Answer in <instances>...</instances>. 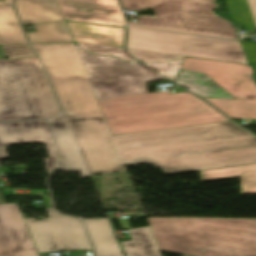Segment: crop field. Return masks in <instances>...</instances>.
Wrapping results in <instances>:
<instances>
[{"label": "crop field", "mask_w": 256, "mask_h": 256, "mask_svg": "<svg viewBox=\"0 0 256 256\" xmlns=\"http://www.w3.org/2000/svg\"><path fill=\"white\" fill-rule=\"evenodd\" d=\"M93 174L150 163L170 174L256 163V137L231 121L112 136L74 43L33 45Z\"/></svg>", "instance_id": "obj_1"}, {"label": "crop field", "mask_w": 256, "mask_h": 256, "mask_svg": "<svg viewBox=\"0 0 256 256\" xmlns=\"http://www.w3.org/2000/svg\"><path fill=\"white\" fill-rule=\"evenodd\" d=\"M60 111L38 57L0 60V121L46 119ZM35 142H45L52 174L59 158L47 121L0 123V158L8 157L3 146Z\"/></svg>", "instance_id": "obj_2"}, {"label": "crop field", "mask_w": 256, "mask_h": 256, "mask_svg": "<svg viewBox=\"0 0 256 256\" xmlns=\"http://www.w3.org/2000/svg\"><path fill=\"white\" fill-rule=\"evenodd\" d=\"M98 101L113 135L228 120L189 92L165 91Z\"/></svg>", "instance_id": "obj_3"}, {"label": "crop field", "mask_w": 256, "mask_h": 256, "mask_svg": "<svg viewBox=\"0 0 256 256\" xmlns=\"http://www.w3.org/2000/svg\"><path fill=\"white\" fill-rule=\"evenodd\" d=\"M161 251L256 256V219L148 218Z\"/></svg>", "instance_id": "obj_4"}, {"label": "crop field", "mask_w": 256, "mask_h": 256, "mask_svg": "<svg viewBox=\"0 0 256 256\" xmlns=\"http://www.w3.org/2000/svg\"><path fill=\"white\" fill-rule=\"evenodd\" d=\"M125 8H153L157 29L238 39L232 22L218 17L204 0H121Z\"/></svg>", "instance_id": "obj_5"}, {"label": "crop field", "mask_w": 256, "mask_h": 256, "mask_svg": "<svg viewBox=\"0 0 256 256\" xmlns=\"http://www.w3.org/2000/svg\"><path fill=\"white\" fill-rule=\"evenodd\" d=\"M128 48L248 64L239 41L233 42L158 30L129 27Z\"/></svg>", "instance_id": "obj_6"}, {"label": "crop field", "mask_w": 256, "mask_h": 256, "mask_svg": "<svg viewBox=\"0 0 256 256\" xmlns=\"http://www.w3.org/2000/svg\"><path fill=\"white\" fill-rule=\"evenodd\" d=\"M80 56L98 99L147 93L144 83L162 78L140 64Z\"/></svg>", "instance_id": "obj_7"}, {"label": "crop field", "mask_w": 256, "mask_h": 256, "mask_svg": "<svg viewBox=\"0 0 256 256\" xmlns=\"http://www.w3.org/2000/svg\"><path fill=\"white\" fill-rule=\"evenodd\" d=\"M50 219L36 221L24 216L39 252L92 249L78 218L47 208Z\"/></svg>", "instance_id": "obj_8"}, {"label": "crop field", "mask_w": 256, "mask_h": 256, "mask_svg": "<svg viewBox=\"0 0 256 256\" xmlns=\"http://www.w3.org/2000/svg\"><path fill=\"white\" fill-rule=\"evenodd\" d=\"M181 68L207 75L235 99L256 100L254 72L250 66L185 57Z\"/></svg>", "instance_id": "obj_9"}, {"label": "crop field", "mask_w": 256, "mask_h": 256, "mask_svg": "<svg viewBox=\"0 0 256 256\" xmlns=\"http://www.w3.org/2000/svg\"><path fill=\"white\" fill-rule=\"evenodd\" d=\"M0 256H38L17 203L0 204Z\"/></svg>", "instance_id": "obj_10"}, {"label": "crop field", "mask_w": 256, "mask_h": 256, "mask_svg": "<svg viewBox=\"0 0 256 256\" xmlns=\"http://www.w3.org/2000/svg\"><path fill=\"white\" fill-rule=\"evenodd\" d=\"M66 20L125 27L117 0H58Z\"/></svg>", "instance_id": "obj_11"}, {"label": "crop field", "mask_w": 256, "mask_h": 256, "mask_svg": "<svg viewBox=\"0 0 256 256\" xmlns=\"http://www.w3.org/2000/svg\"><path fill=\"white\" fill-rule=\"evenodd\" d=\"M181 64L182 63H164L147 65L202 97L234 99L207 76L180 69Z\"/></svg>", "instance_id": "obj_12"}, {"label": "crop field", "mask_w": 256, "mask_h": 256, "mask_svg": "<svg viewBox=\"0 0 256 256\" xmlns=\"http://www.w3.org/2000/svg\"><path fill=\"white\" fill-rule=\"evenodd\" d=\"M62 155L61 171L80 172L81 178L90 177L89 170L73 136L65 115L52 121Z\"/></svg>", "instance_id": "obj_13"}, {"label": "crop field", "mask_w": 256, "mask_h": 256, "mask_svg": "<svg viewBox=\"0 0 256 256\" xmlns=\"http://www.w3.org/2000/svg\"><path fill=\"white\" fill-rule=\"evenodd\" d=\"M75 41L124 48L125 29L66 22Z\"/></svg>", "instance_id": "obj_14"}, {"label": "crop field", "mask_w": 256, "mask_h": 256, "mask_svg": "<svg viewBox=\"0 0 256 256\" xmlns=\"http://www.w3.org/2000/svg\"><path fill=\"white\" fill-rule=\"evenodd\" d=\"M22 23H42L65 20L57 0H16Z\"/></svg>", "instance_id": "obj_15"}, {"label": "crop field", "mask_w": 256, "mask_h": 256, "mask_svg": "<svg viewBox=\"0 0 256 256\" xmlns=\"http://www.w3.org/2000/svg\"><path fill=\"white\" fill-rule=\"evenodd\" d=\"M97 256H124L107 218L85 219Z\"/></svg>", "instance_id": "obj_16"}, {"label": "crop field", "mask_w": 256, "mask_h": 256, "mask_svg": "<svg viewBox=\"0 0 256 256\" xmlns=\"http://www.w3.org/2000/svg\"><path fill=\"white\" fill-rule=\"evenodd\" d=\"M241 177L242 195L256 193V164L200 171L201 182Z\"/></svg>", "instance_id": "obj_17"}, {"label": "crop field", "mask_w": 256, "mask_h": 256, "mask_svg": "<svg viewBox=\"0 0 256 256\" xmlns=\"http://www.w3.org/2000/svg\"><path fill=\"white\" fill-rule=\"evenodd\" d=\"M128 231L132 240L121 242L127 256H161L150 227Z\"/></svg>", "instance_id": "obj_18"}, {"label": "crop field", "mask_w": 256, "mask_h": 256, "mask_svg": "<svg viewBox=\"0 0 256 256\" xmlns=\"http://www.w3.org/2000/svg\"><path fill=\"white\" fill-rule=\"evenodd\" d=\"M0 40L3 45L28 44L12 6L0 7Z\"/></svg>", "instance_id": "obj_19"}, {"label": "crop field", "mask_w": 256, "mask_h": 256, "mask_svg": "<svg viewBox=\"0 0 256 256\" xmlns=\"http://www.w3.org/2000/svg\"><path fill=\"white\" fill-rule=\"evenodd\" d=\"M39 35L29 36L32 44L74 42L65 22L35 26Z\"/></svg>", "instance_id": "obj_20"}, {"label": "crop field", "mask_w": 256, "mask_h": 256, "mask_svg": "<svg viewBox=\"0 0 256 256\" xmlns=\"http://www.w3.org/2000/svg\"><path fill=\"white\" fill-rule=\"evenodd\" d=\"M232 119H256V101L204 98Z\"/></svg>", "instance_id": "obj_21"}, {"label": "crop field", "mask_w": 256, "mask_h": 256, "mask_svg": "<svg viewBox=\"0 0 256 256\" xmlns=\"http://www.w3.org/2000/svg\"><path fill=\"white\" fill-rule=\"evenodd\" d=\"M231 18L244 23L248 29H255L254 18L247 0H226Z\"/></svg>", "instance_id": "obj_22"}, {"label": "crop field", "mask_w": 256, "mask_h": 256, "mask_svg": "<svg viewBox=\"0 0 256 256\" xmlns=\"http://www.w3.org/2000/svg\"><path fill=\"white\" fill-rule=\"evenodd\" d=\"M75 44L77 46L78 51L82 53L132 59L126 53L125 49L100 46V45H94V44L78 43V42H75Z\"/></svg>", "instance_id": "obj_23"}, {"label": "crop field", "mask_w": 256, "mask_h": 256, "mask_svg": "<svg viewBox=\"0 0 256 256\" xmlns=\"http://www.w3.org/2000/svg\"><path fill=\"white\" fill-rule=\"evenodd\" d=\"M140 61L184 59L182 56L167 55L129 49Z\"/></svg>", "instance_id": "obj_24"}, {"label": "crop field", "mask_w": 256, "mask_h": 256, "mask_svg": "<svg viewBox=\"0 0 256 256\" xmlns=\"http://www.w3.org/2000/svg\"><path fill=\"white\" fill-rule=\"evenodd\" d=\"M3 49L8 59L36 56L29 45L3 46Z\"/></svg>", "instance_id": "obj_25"}, {"label": "crop field", "mask_w": 256, "mask_h": 256, "mask_svg": "<svg viewBox=\"0 0 256 256\" xmlns=\"http://www.w3.org/2000/svg\"><path fill=\"white\" fill-rule=\"evenodd\" d=\"M138 22H130L131 26L156 29L155 18L151 16H138Z\"/></svg>", "instance_id": "obj_26"}, {"label": "crop field", "mask_w": 256, "mask_h": 256, "mask_svg": "<svg viewBox=\"0 0 256 256\" xmlns=\"http://www.w3.org/2000/svg\"><path fill=\"white\" fill-rule=\"evenodd\" d=\"M241 44L243 46V49L245 51L249 64H252L253 62L256 61V43L254 44L241 43Z\"/></svg>", "instance_id": "obj_27"}, {"label": "crop field", "mask_w": 256, "mask_h": 256, "mask_svg": "<svg viewBox=\"0 0 256 256\" xmlns=\"http://www.w3.org/2000/svg\"><path fill=\"white\" fill-rule=\"evenodd\" d=\"M248 2H249V5H250L252 14H253V16L255 18V21H256V0H248Z\"/></svg>", "instance_id": "obj_28"}, {"label": "crop field", "mask_w": 256, "mask_h": 256, "mask_svg": "<svg viewBox=\"0 0 256 256\" xmlns=\"http://www.w3.org/2000/svg\"><path fill=\"white\" fill-rule=\"evenodd\" d=\"M3 58H7V57L2 49V46H0V59H3Z\"/></svg>", "instance_id": "obj_29"}, {"label": "crop field", "mask_w": 256, "mask_h": 256, "mask_svg": "<svg viewBox=\"0 0 256 256\" xmlns=\"http://www.w3.org/2000/svg\"><path fill=\"white\" fill-rule=\"evenodd\" d=\"M10 3H12V0H0V5L10 4Z\"/></svg>", "instance_id": "obj_30"}, {"label": "crop field", "mask_w": 256, "mask_h": 256, "mask_svg": "<svg viewBox=\"0 0 256 256\" xmlns=\"http://www.w3.org/2000/svg\"><path fill=\"white\" fill-rule=\"evenodd\" d=\"M128 11H140V10H133V9H127Z\"/></svg>", "instance_id": "obj_31"}, {"label": "crop field", "mask_w": 256, "mask_h": 256, "mask_svg": "<svg viewBox=\"0 0 256 256\" xmlns=\"http://www.w3.org/2000/svg\"><path fill=\"white\" fill-rule=\"evenodd\" d=\"M208 1H212V2H214V3L216 2V0H208Z\"/></svg>", "instance_id": "obj_32"}, {"label": "crop field", "mask_w": 256, "mask_h": 256, "mask_svg": "<svg viewBox=\"0 0 256 256\" xmlns=\"http://www.w3.org/2000/svg\"><path fill=\"white\" fill-rule=\"evenodd\" d=\"M254 76V79H255V82H256V75H253Z\"/></svg>", "instance_id": "obj_33"}, {"label": "crop field", "mask_w": 256, "mask_h": 256, "mask_svg": "<svg viewBox=\"0 0 256 256\" xmlns=\"http://www.w3.org/2000/svg\"><path fill=\"white\" fill-rule=\"evenodd\" d=\"M0 45H2L1 42H0Z\"/></svg>", "instance_id": "obj_34"}]
</instances>
